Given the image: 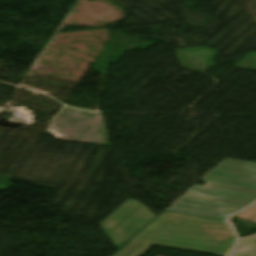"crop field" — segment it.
<instances>
[{
    "instance_id": "crop-field-1",
    "label": "crop field",
    "mask_w": 256,
    "mask_h": 256,
    "mask_svg": "<svg viewBox=\"0 0 256 256\" xmlns=\"http://www.w3.org/2000/svg\"><path fill=\"white\" fill-rule=\"evenodd\" d=\"M165 211L226 220L256 200V163L225 158Z\"/></svg>"
},
{
    "instance_id": "crop-field-2",
    "label": "crop field",
    "mask_w": 256,
    "mask_h": 256,
    "mask_svg": "<svg viewBox=\"0 0 256 256\" xmlns=\"http://www.w3.org/2000/svg\"><path fill=\"white\" fill-rule=\"evenodd\" d=\"M235 240L227 222L165 212L114 256H140L152 245L226 256Z\"/></svg>"
},
{
    "instance_id": "crop-field-3",
    "label": "crop field",
    "mask_w": 256,
    "mask_h": 256,
    "mask_svg": "<svg viewBox=\"0 0 256 256\" xmlns=\"http://www.w3.org/2000/svg\"><path fill=\"white\" fill-rule=\"evenodd\" d=\"M155 217L146 206L129 198L100 225L118 250Z\"/></svg>"
},
{
    "instance_id": "crop-field-4",
    "label": "crop field",
    "mask_w": 256,
    "mask_h": 256,
    "mask_svg": "<svg viewBox=\"0 0 256 256\" xmlns=\"http://www.w3.org/2000/svg\"><path fill=\"white\" fill-rule=\"evenodd\" d=\"M230 256H256V234L239 239Z\"/></svg>"
},
{
    "instance_id": "crop-field-5",
    "label": "crop field",
    "mask_w": 256,
    "mask_h": 256,
    "mask_svg": "<svg viewBox=\"0 0 256 256\" xmlns=\"http://www.w3.org/2000/svg\"><path fill=\"white\" fill-rule=\"evenodd\" d=\"M255 214H256V205L251 207L250 209L246 210L242 214L238 215V217L247 219Z\"/></svg>"
},
{
    "instance_id": "crop-field-6",
    "label": "crop field",
    "mask_w": 256,
    "mask_h": 256,
    "mask_svg": "<svg viewBox=\"0 0 256 256\" xmlns=\"http://www.w3.org/2000/svg\"><path fill=\"white\" fill-rule=\"evenodd\" d=\"M251 220L256 221V216L254 218H252Z\"/></svg>"
}]
</instances>
